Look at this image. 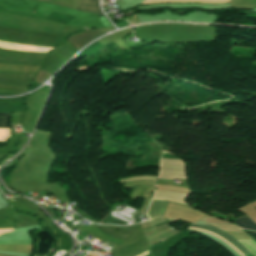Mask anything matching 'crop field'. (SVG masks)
<instances>
[{
    "instance_id": "obj_1",
    "label": "crop field",
    "mask_w": 256,
    "mask_h": 256,
    "mask_svg": "<svg viewBox=\"0 0 256 256\" xmlns=\"http://www.w3.org/2000/svg\"><path fill=\"white\" fill-rule=\"evenodd\" d=\"M190 227L196 228V229L205 230V231H209V232H211V233H213V234H216V235H218V236L224 238V239H225L226 241H228L231 245H233L239 252H241L244 256L247 255V254H249V253H251V252H249L244 246H242L239 242H237L234 238H232L230 235L226 234L225 232H223V231H221V230H218V229L212 227L211 225H193V224H192ZM192 228H190V229H192ZM196 229H194V230H196ZM201 230H199V231H201ZM205 231H203V232H205ZM209 232H206V233H208V234H210V235H212V236H214V237H216V238H218V239H220V240L226 242L224 239H222V238H220V237H218V236H216V235H213V234H211V233H209ZM228 242H226V243H227L229 246H231ZM231 247H232V246H231ZM234 247H232V248H233L237 253H239ZM239 254H240V253H239ZM242 254H240V255L243 256ZM247 256H254V255L251 253V254H249V255H247Z\"/></svg>"
},
{
    "instance_id": "obj_2",
    "label": "crop field",
    "mask_w": 256,
    "mask_h": 256,
    "mask_svg": "<svg viewBox=\"0 0 256 256\" xmlns=\"http://www.w3.org/2000/svg\"><path fill=\"white\" fill-rule=\"evenodd\" d=\"M0 48L25 51V52H47L50 49H52L50 47L17 45V44H12V43L3 42V41H0Z\"/></svg>"
},
{
    "instance_id": "obj_3",
    "label": "crop field",
    "mask_w": 256,
    "mask_h": 256,
    "mask_svg": "<svg viewBox=\"0 0 256 256\" xmlns=\"http://www.w3.org/2000/svg\"><path fill=\"white\" fill-rule=\"evenodd\" d=\"M79 11L102 14L98 0H82Z\"/></svg>"
},
{
    "instance_id": "obj_4",
    "label": "crop field",
    "mask_w": 256,
    "mask_h": 256,
    "mask_svg": "<svg viewBox=\"0 0 256 256\" xmlns=\"http://www.w3.org/2000/svg\"><path fill=\"white\" fill-rule=\"evenodd\" d=\"M158 178H165V179L180 178V179H186L184 171L166 170V169H160Z\"/></svg>"
},
{
    "instance_id": "obj_5",
    "label": "crop field",
    "mask_w": 256,
    "mask_h": 256,
    "mask_svg": "<svg viewBox=\"0 0 256 256\" xmlns=\"http://www.w3.org/2000/svg\"><path fill=\"white\" fill-rule=\"evenodd\" d=\"M160 168L184 170V164L181 160L161 159Z\"/></svg>"
},
{
    "instance_id": "obj_6",
    "label": "crop field",
    "mask_w": 256,
    "mask_h": 256,
    "mask_svg": "<svg viewBox=\"0 0 256 256\" xmlns=\"http://www.w3.org/2000/svg\"><path fill=\"white\" fill-rule=\"evenodd\" d=\"M241 228L251 229L256 231V225L246 216L234 221Z\"/></svg>"
},
{
    "instance_id": "obj_7",
    "label": "crop field",
    "mask_w": 256,
    "mask_h": 256,
    "mask_svg": "<svg viewBox=\"0 0 256 256\" xmlns=\"http://www.w3.org/2000/svg\"><path fill=\"white\" fill-rule=\"evenodd\" d=\"M154 197H167V198H175V199L183 200L186 197V195L185 194H178V193H174V192L156 191Z\"/></svg>"
},
{
    "instance_id": "obj_8",
    "label": "crop field",
    "mask_w": 256,
    "mask_h": 256,
    "mask_svg": "<svg viewBox=\"0 0 256 256\" xmlns=\"http://www.w3.org/2000/svg\"><path fill=\"white\" fill-rule=\"evenodd\" d=\"M51 19L55 20L57 22L63 23V22H70V21H79V20H84V19H78V18H72V17H66V16H60V15H54L50 14Z\"/></svg>"
},
{
    "instance_id": "obj_9",
    "label": "crop field",
    "mask_w": 256,
    "mask_h": 256,
    "mask_svg": "<svg viewBox=\"0 0 256 256\" xmlns=\"http://www.w3.org/2000/svg\"><path fill=\"white\" fill-rule=\"evenodd\" d=\"M0 127L9 128V113H0Z\"/></svg>"
},
{
    "instance_id": "obj_10",
    "label": "crop field",
    "mask_w": 256,
    "mask_h": 256,
    "mask_svg": "<svg viewBox=\"0 0 256 256\" xmlns=\"http://www.w3.org/2000/svg\"><path fill=\"white\" fill-rule=\"evenodd\" d=\"M243 231L246 232L249 236H251L256 241V232L245 231V230H243Z\"/></svg>"
},
{
    "instance_id": "obj_11",
    "label": "crop field",
    "mask_w": 256,
    "mask_h": 256,
    "mask_svg": "<svg viewBox=\"0 0 256 256\" xmlns=\"http://www.w3.org/2000/svg\"><path fill=\"white\" fill-rule=\"evenodd\" d=\"M5 143H6V142L0 141V146H3V147H4Z\"/></svg>"
}]
</instances>
